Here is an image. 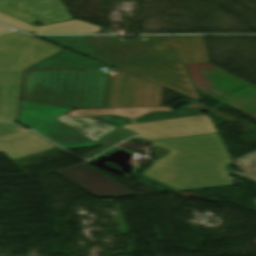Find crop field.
<instances>
[{"label":"crop field","mask_w":256,"mask_h":256,"mask_svg":"<svg viewBox=\"0 0 256 256\" xmlns=\"http://www.w3.org/2000/svg\"><path fill=\"white\" fill-rule=\"evenodd\" d=\"M97 118L137 133L144 140L217 132L210 116L193 108L180 112H156L133 119L120 116Z\"/></svg>","instance_id":"obj_3"},{"label":"crop field","mask_w":256,"mask_h":256,"mask_svg":"<svg viewBox=\"0 0 256 256\" xmlns=\"http://www.w3.org/2000/svg\"><path fill=\"white\" fill-rule=\"evenodd\" d=\"M114 133H116V135H114V136H112V137H110L108 139H105L106 137H108V136H110V135H112ZM125 133H127V134L122 136V137H120V138H118L119 136H121V135H123ZM130 136H132V134L130 132L125 131V130H123L121 128H118V129H116V130H114V131H112V132H110V133H108V134H106V135H104V136L99 138V140L107 143L105 146H103V147H101V148H99V149H97V150H95V151H93V152L83 156V158L88 159L91 156L101 152L102 150H104V149H106V148H108V147H110V146H112V145H114V144H116V143H118V142H120V141H122V140H124V139H126L128 137H130ZM116 138H118V139H116ZM114 139H116V140H114ZM112 140H114V141H112Z\"/></svg>","instance_id":"obj_12"},{"label":"crop field","mask_w":256,"mask_h":256,"mask_svg":"<svg viewBox=\"0 0 256 256\" xmlns=\"http://www.w3.org/2000/svg\"><path fill=\"white\" fill-rule=\"evenodd\" d=\"M70 110L21 100L18 122L67 149L101 146L57 120L56 116Z\"/></svg>","instance_id":"obj_5"},{"label":"crop field","mask_w":256,"mask_h":256,"mask_svg":"<svg viewBox=\"0 0 256 256\" xmlns=\"http://www.w3.org/2000/svg\"><path fill=\"white\" fill-rule=\"evenodd\" d=\"M0 22L32 33L80 34L93 33L103 28L76 19L35 27L9 15L0 13Z\"/></svg>","instance_id":"obj_9"},{"label":"crop field","mask_w":256,"mask_h":256,"mask_svg":"<svg viewBox=\"0 0 256 256\" xmlns=\"http://www.w3.org/2000/svg\"><path fill=\"white\" fill-rule=\"evenodd\" d=\"M247 174L244 176L256 181V151L240 158Z\"/></svg>","instance_id":"obj_13"},{"label":"crop field","mask_w":256,"mask_h":256,"mask_svg":"<svg viewBox=\"0 0 256 256\" xmlns=\"http://www.w3.org/2000/svg\"><path fill=\"white\" fill-rule=\"evenodd\" d=\"M21 130L20 128L16 127L13 124L6 123V122H0V135L10 133L13 131Z\"/></svg>","instance_id":"obj_14"},{"label":"crop field","mask_w":256,"mask_h":256,"mask_svg":"<svg viewBox=\"0 0 256 256\" xmlns=\"http://www.w3.org/2000/svg\"><path fill=\"white\" fill-rule=\"evenodd\" d=\"M20 32L0 35V119L14 122L22 70L61 51Z\"/></svg>","instance_id":"obj_2"},{"label":"crop field","mask_w":256,"mask_h":256,"mask_svg":"<svg viewBox=\"0 0 256 256\" xmlns=\"http://www.w3.org/2000/svg\"><path fill=\"white\" fill-rule=\"evenodd\" d=\"M96 59L112 67L138 55L171 36H143L144 39L123 40L117 36H38ZM141 41V43L134 42ZM123 41V43H121ZM145 47H142V46ZM113 64H116L114 66ZM123 64V63H122Z\"/></svg>","instance_id":"obj_4"},{"label":"crop field","mask_w":256,"mask_h":256,"mask_svg":"<svg viewBox=\"0 0 256 256\" xmlns=\"http://www.w3.org/2000/svg\"><path fill=\"white\" fill-rule=\"evenodd\" d=\"M55 172L98 197H125L137 195L84 163Z\"/></svg>","instance_id":"obj_7"},{"label":"crop field","mask_w":256,"mask_h":256,"mask_svg":"<svg viewBox=\"0 0 256 256\" xmlns=\"http://www.w3.org/2000/svg\"><path fill=\"white\" fill-rule=\"evenodd\" d=\"M58 120L62 121L63 123L69 125L70 127L74 128L75 130L79 131L80 133L84 134L85 136L91 138L92 140L96 141L97 143L101 144L102 146L105 144L97 138L117 127L108 125L106 123L98 124L95 119L92 117H85V118H73L68 116L67 114L58 116Z\"/></svg>","instance_id":"obj_10"},{"label":"crop field","mask_w":256,"mask_h":256,"mask_svg":"<svg viewBox=\"0 0 256 256\" xmlns=\"http://www.w3.org/2000/svg\"><path fill=\"white\" fill-rule=\"evenodd\" d=\"M255 201H256V200H255ZM255 201H254V202H255Z\"/></svg>","instance_id":"obj_16"},{"label":"crop field","mask_w":256,"mask_h":256,"mask_svg":"<svg viewBox=\"0 0 256 256\" xmlns=\"http://www.w3.org/2000/svg\"><path fill=\"white\" fill-rule=\"evenodd\" d=\"M148 142L171 153L153 162L143 175L178 190L234 185L225 170L232 161L218 133Z\"/></svg>","instance_id":"obj_1"},{"label":"crop field","mask_w":256,"mask_h":256,"mask_svg":"<svg viewBox=\"0 0 256 256\" xmlns=\"http://www.w3.org/2000/svg\"><path fill=\"white\" fill-rule=\"evenodd\" d=\"M197 107L201 108L202 105L185 106L177 111L185 108ZM155 111H175L167 107H146V108H113V109H88V110H74L68 115L73 117H84V116H97V115H121L127 118L139 117L143 114L155 112Z\"/></svg>","instance_id":"obj_11"},{"label":"crop field","mask_w":256,"mask_h":256,"mask_svg":"<svg viewBox=\"0 0 256 256\" xmlns=\"http://www.w3.org/2000/svg\"><path fill=\"white\" fill-rule=\"evenodd\" d=\"M55 148L31 131H17L0 136V151L11 160Z\"/></svg>","instance_id":"obj_8"},{"label":"crop field","mask_w":256,"mask_h":256,"mask_svg":"<svg viewBox=\"0 0 256 256\" xmlns=\"http://www.w3.org/2000/svg\"><path fill=\"white\" fill-rule=\"evenodd\" d=\"M0 12L30 24L36 21L46 24L71 18L60 0H0Z\"/></svg>","instance_id":"obj_6"},{"label":"crop field","mask_w":256,"mask_h":256,"mask_svg":"<svg viewBox=\"0 0 256 256\" xmlns=\"http://www.w3.org/2000/svg\"><path fill=\"white\" fill-rule=\"evenodd\" d=\"M8 30H10V29L7 28V27H5V26L0 25V33L6 32V31H8Z\"/></svg>","instance_id":"obj_15"}]
</instances>
